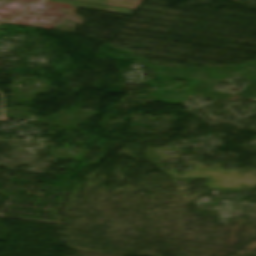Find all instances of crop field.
<instances>
[{"label": "crop field", "instance_id": "crop-field-1", "mask_svg": "<svg viewBox=\"0 0 256 256\" xmlns=\"http://www.w3.org/2000/svg\"><path fill=\"white\" fill-rule=\"evenodd\" d=\"M42 0H1L0 21L9 22Z\"/></svg>", "mask_w": 256, "mask_h": 256}]
</instances>
